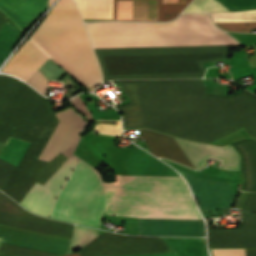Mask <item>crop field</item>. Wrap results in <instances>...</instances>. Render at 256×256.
<instances>
[{
    "label": "crop field",
    "mask_w": 256,
    "mask_h": 256,
    "mask_svg": "<svg viewBox=\"0 0 256 256\" xmlns=\"http://www.w3.org/2000/svg\"><path fill=\"white\" fill-rule=\"evenodd\" d=\"M94 48L239 44L208 14H182L166 23H86ZM104 81L202 78V63L227 57L226 45L94 49Z\"/></svg>",
    "instance_id": "8a807250"
},
{
    "label": "crop field",
    "mask_w": 256,
    "mask_h": 256,
    "mask_svg": "<svg viewBox=\"0 0 256 256\" xmlns=\"http://www.w3.org/2000/svg\"><path fill=\"white\" fill-rule=\"evenodd\" d=\"M129 104L117 107L124 129L148 128L211 143L241 129L256 140V96L205 94L203 80L118 81Z\"/></svg>",
    "instance_id": "ac0d7876"
},
{
    "label": "crop field",
    "mask_w": 256,
    "mask_h": 256,
    "mask_svg": "<svg viewBox=\"0 0 256 256\" xmlns=\"http://www.w3.org/2000/svg\"><path fill=\"white\" fill-rule=\"evenodd\" d=\"M14 57L38 67L50 57L85 88L102 82L98 63L76 6H54ZM14 57L2 72L26 81L38 67Z\"/></svg>",
    "instance_id": "34b2d1b8"
},
{
    "label": "crop field",
    "mask_w": 256,
    "mask_h": 256,
    "mask_svg": "<svg viewBox=\"0 0 256 256\" xmlns=\"http://www.w3.org/2000/svg\"><path fill=\"white\" fill-rule=\"evenodd\" d=\"M106 196L193 199L182 178L120 176L105 185ZM104 214L131 217L201 218L194 200L107 197Z\"/></svg>",
    "instance_id": "412701ff"
},
{
    "label": "crop field",
    "mask_w": 256,
    "mask_h": 256,
    "mask_svg": "<svg viewBox=\"0 0 256 256\" xmlns=\"http://www.w3.org/2000/svg\"><path fill=\"white\" fill-rule=\"evenodd\" d=\"M0 225L70 240L74 225L40 218L25 211L0 193ZM0 226L1 243L66 254L70 241ZM0 245V254L15 256H58L21 247Z\"/></svg>",
    "instance_id": "f4fd0767"
},
{
    "label": "crop field",
    "mask_w": 256,
    "mask_h": 256,
    "mask_svg": "<svg viewBox=\"0 0 256 256\" xmlns=\"http://www.w3.org/2000/svg\"><path fill=\"white\" fill-rule=\"evenodd\" d=\"M106 206L101 175L79 159L49 217L98 228Z\"/></svg>",
    "instance_id": "dd49c442"
},
{
    "label": "crop field",
    "mask_w": 256,
    "mask_h": 256,
    "mask_svg": "<svg viewBox=\"0 0 256 256\" xmlns=\"http://www.w3.org/2000/svg\"><path fill=\"white\" fill-rule=\"evenodd\" d=\"M57 122L50 101L23 82L0 118V125L15 128L11 137L38 144L37 159Z\"/></svg>",
    "instance_id": "e52e79f7"
},
{
    "label": "crop field",
    "mask_w": 256,
    "mask_h": 256,
    "mask_svg": "<svg viewBox=\"0 0 256 256\" xmlns=\"http://www.w3.org/2000/svg\"><path fill=\"white\" fill-rule=\"evenodd\" d=\"M29 145V142L9 137L0 158L17 167ZM35 147L31 143L18 165L21 171L14 167L1 189L19 203L36 181L43 185L67 159L61 153L49 162L32 159L30 157Z\"/></svg>",
    "instance_id": "d8731c3e"
},
{
    "label": "crop field",
    "mask_w": 256,
    "mask_h": 256,
    "mask_svg": "<svg viewBox=\"0 0 256 256\" xmlns=\"http://www.w3.org/2000/svg\"><path fill=\"white\" fill-rule=\"evenodd\" d=\"M149 152L159 157L178 162L197 170L204 167L203 163L208 159L220 161L217 168L225 170H239V157L235 150L230 146L215 147L206 144H197L167 137L152 131L140 130Z\"/></svg>",
    "instance_id": "5a996713"
},
{
    "label": "crop field",
    "mask_w": 256,
    "mask_h": 256,
    "mask_svg": "<svg viewBox=\"0 0 256 256\" xmlns=\"http://www.w3.org/2000/svg\"><path fill=\"white\" fill-rule=\"evenodd\" d=\"M82 13L83 18L113 19V0H110V13H84L85 3L74 0ZM191 0H185V4L162 3L157 0V20L163 21L175 18L187 6ZM86 2L85 12H109V0H81ZM138 2V14H118V18L156 19V0H133ZM163 2L184 3V0H163ZM117 19V0H114V20Z\"/></svg>",
    "instance_id": "3316defc"
},
{
    "label": "crop field",
    "mask_w": 256,
    "mask_h": 256,
    "mask_svg": "<svg viewBox=\"0 0 256 256\" xmlns=\"http://www.w3.org/2000/svg\"><path fill=\"white\" fill-rule=\"evenodd\" d=\"M82 256L170 252L160 237H131L106 232L80 250Z\"/></svg>",
    "instance_id": "28ad6ade"
},
{
    "label": "crop field",
    "mask_w": 256,
    "mask_h": 256,
    "mask_svg": "<svg viewBox=\"0 0 256 256\" xmlns=\"http://www.w3.org/2000/svg\"><path fill=\"white\" fill-rule=\"evenodd\" d=\"M209 248L256 247V193H250L236 229L208 230Z\"/></svg>",
    "instance_id": "d1516ede"
},
{
    "label": "crop field",
    "mask_w": 256,
    "mask_h": 256,
    "mask_svg": "<svg viewBox=\"0 0 256 256\" xmlns=\"http://www.w3.org/2000/svg\"><path fill=\"white\" fill-rule=\"evenodd\" d=\"M56 116L59 122L39 159L49 161L60 152L69 157L81 139L77 132L85 128L86 122L71 107Z\"/></svg>",
    "instance_id": "22f410ed"
},
{
    "label": "crop field",
    "mask_w": 256,
    "mask_h": 256,
    "mask_svg": "<svg viewBox=\"0 0 256 256\" xmlns=\"http://www.w3.org/2000/svg\"><path fill=\"white\" fill-rule=\"evenodd\" d=\"M78 159L72 154L43 186L36 182L20 204L38 215L48 217L57 193Z\"/></svg>",
    "instance_id": "cbeb9de0"
},
{
    "label": "crop field",
    "mask_w": 256,
    "mask_h": 256,
    "mask_svg": "<svg viewBox=\"0 0 256 256\" xmlns=\"http://www.w3.org/2000/svg\"><path fill=\"white\" fill-rule=\"evenodd\" d=\"M200 210L230 208L234 196L226 182L203 180L185 173Z\"/></svg>",
    "instance_id": "5142ce71"
},
{
    "label": "crop field",
    "mask_w": 256,
    "mask_h": 256,
    "mask_svg": "<svg viewBox=\"0 0 256 256\" xmlns=\"http://www.w3.org/2000/svg\"><path fill=\"white\" fill-rule=\"evenodd\" d=\"M139 235L204 236L202 220L138 218Z\"/></svg>",
    "instance_id": "d9b57169"
},
{
    "label": "crop field",
    "mask_w": 256,
    "mask_h": 256,
    "mask_svg": "<svg viewBox=\"0 0 256 256\" xmlns=\"http://www.w3.org/2000/svg\"><path fill=\"white\" fill-rule=\"evenodd\" d=\"M48 0H0V12L23 32L47 8ZM0 14V27L5 22Z\"/></svg>",
    "instance_id": "733c2abd"
},
{
    "label": "crop field",
    "mask_w": 256,
    "mask_h": 256,
    "mask_svg": "<svg viewBox=\"0 0 256 256\" xmlns=\"http://www.w3.org/2000/svg\"><path fill=\"white\" fill-rule=\"evenodd\" d=\"M123 162L129 175L180 177L174 170L138 147Z\"/></svg>",
    "instance_id": "4a817a6b"
},
{
    "label": "crop field",
    "mask_w": 256,
    "mask_h": 256,
    "mask_svg": "<svg viewBox=\"0 0 256 256\" xmlns=\"http://www.w3.org/2000/svg\"><path fill=\"white\" fill-rule=\"evenodd\" d=\"M240 154L244 184L241 190L256 192V142L243 140L232 144Z\"/></svg>",
    "instance_id": "bc2a9ffb"
},
{
    "label": "crop field",
    "mask_w": 256,
    "mask_h": 256,
    "mask_svg": "<svg viewBox=\"0 0 256 256\" xmlns=\"http://www.w3.org/2000/svg\"><path fill=\"white\" fill-rule=\"evenodd\" d=\"M173 253L133 256H207L204 240L163 238Z\"/></svg>",
    "instance_id": "214f88e0"
},
{
    "label": "crop field",
    "mask_w": 256,
    "mask_h": 256,
    "mask_svg": "<svg viewBox=\"0 0 256 256\" xmlns=\"http://www.w3.org/2000/svg\"><path fill=\"white\" fill-rule=\"evenodd\" d=\"M19 84L14 78L0 75V117ZM12 131V128L0 126V142L5 143Z\"/></svg>",
    "instance_id": "92a150f3"
},
{
    "label": "crop field",
    "mask_w": 256,
    "mask_h": 256,
    "mask_svg": "<svg viewBox=\"0 0 256 256\" xmlns=\"http://www.w3.org/2000/svg\"><path fill=\"white\" fill-rule=\"evenodd\" d=\"M22 34L7 20L0 29V63Z\"/></svg>",
    "instance_id": "dafd665d"
},
{
    "label": "crop field",
    "mask_w": 256,
    "mask_h": 256,
    "mask_svg": "<svg viewBox=\"0 0 256 256\" xmlns=\"http://www.w3.org/2000/svg\"><path fill=\"white\" fill-rule=\"evenodd\" d=\"M169 162L171 164H173L174 166H176L177 168H179L180 170L185 171L189 174L201 177V178L238 183L237 172L220 170L218 176H213V175L206 174L203 172L194 171L192 169H189L187 167H184L182 165H179V164L171 162V161H169Z\"/></svg>",
    "instance_id": "00972430"
},
{
    "label": "crop field",
    "mask_w": 256,
    "mask_h": 256,
    "mask_svg": "<svg viewBox=\"0 0 256 256\" xmlns=\"http://www.w3.org/2000/svg\"><path fill=\"white\" fill-rule=\"evenodd\" d=\"M99 235L100 234L93 229L75 226V233L71 243L70 252L83 248Z\"/></svg>",
    "instance_id": "a9b5d70f"
},
{
    "label": "crop field",
    "mask_w": 256,
    "mask_h": 256,
    "mask_svg": "<svg viewBox=\"0 0 256 256\" xmlns=\"http://www.w3.org/2000/svg\"><path fill=\"white\" fill-rule=\"evenodd\" d=\"M95 123L103 125H96L93 133L121 136L120 120H95Z\"/></svg>",
    "instance_id": "4177f3b9"
},
{
    "label": "crop field",
    "mask_w": 256,
    "mask_h": 256,
    "mask_svg": "<svg viewBox=\"0 0 256 256\" xmlns=\"http://www.w3.org/2000/svg\"><path fill=\"white\" fill-rule=\"evenodd\" d=\"M195 0H193L188 7L183 11V12H206V13H212V12H220V11H228L227 9H225L223 6H221L220 4H217L215 2V0H200L202 2H204L202 4V2L197 3L196 5L201 6L198 7L194 4H192Z\"/></svg>",
    "instance_id": "730fd06b"
},
{
    "label": "crop field",
    "mask_w": 256,
    "mask_h": 256,
    "mask_svg": "<svg viewBox=\"0 0 256 256\" xmlns=\"http://www.w3.org/2000/svg\"><path fill=\"white\" fill-rule=\"evenodd\" d=\"M252 14V21H256V10L230 13L211 14L214 22H217V15ZM251 21V15H235L230 17H218V22Z\"/></svg>",
    "instance_id": "eef30255"
},
{
    "label": "crop field",
    "mask_w": 256,
    "mask_h": 256,
    "mask_svg": "<svg viewBox=\"0 0 256 256\" xmlns=\"http://www.w3.org/2000/svg\"><path fill=\"white\" fill-rule=\"evenodd\" d=\"M230 11L256 8V0H218Z\"/></svg>",
    "instance_id": "ae1a2a85"
},
{
    "label": "crop field",
    "mask_w": 256,
    "mask_h": 256,
    "mask_svg": "<svg viewBox=\"0 0 256 256\" xmlns=\"http://www.w3.org/2000/svg\"><path fill=\"white\" fill-rule=\"evenodd\" d=\"M50 78L38 69L26 82L37 88L42 94L48 86L44 85Z\"/></svg>",
    "instance_id": "d3111659"
},
{
    "label": "crop field",
    "mask_w": 256,
    "mask_h": 256,
    "mask_svg": "<svg viewBox=\"0 0 256 256\" xmlns=\"http://www.w3.org/2000/svg\"><path fill=\"white\" fill-rule=\"evenodd\" d=\"M213 256H256V249H211Z\"/></svg>",
    "instance_id": "750c4746"
},
{
    "label": "crop field",
    "mask_w": 256,
    "mask_h": 256,
    "mask_svg": "<svg viewBox=\"0 0 256 256\" xmlns=\"http://www.w3.org/2000/svg\"><path fill=\"white\" fill-rule=\"evenodd\" d=\"M218 27L227 31L250 32V28H256V22H237V23H215Z\"/></svg>",
    "instance_id": "bd1437ed"
},
{
    "label": "crop field",
    "mask_w": 256,
    "mask_h": 256,
    "mask_svg": "<svg viewBox=\"0 0 256 256\" xmlns=\"http://www.w3.org/2000/svg\"><path fill=\"white\" fill-rule=\"evenodd\" d=\"M70 101L80 112H82L87 117L88 121L92 120L89 111L86 109L83 102L81 101V99L78 96L71 99Z\"/></svg>",
    "instance_id": "1d83c4d3"
},
{
    "label": "crop field",
    "mask_w": 256,
    "mask_h": 256,
    "mask_svg": "<svg viewBox=\"0 0 256 256\" xmlns=\"http://www.w3.org/2000/svg\"><path fill=\"white\" fill-rule=\"evenodd\" d=\"M56 5H74L71 0H59Z\"/></svg>",
    "instance_id": "120bbe31"
},
{
    "label": "crop field",
    "mask_w": 256,
    "mask_h": 256,
    "mask_svg": "<svg viewBox=\"0 0 256 256\" xmlns=\"http://www.w3.org/2000/svg\"><path fill=\"white\" fill-rule=\"evenodd\" d=\"M64 256H81L80 253H74V254H68V255H64Z\"/></svg>",
    "instance_id": "d32e631a"
},
{
    "label": "crop field",
    "mask_w": 256,
    "mask_h": 256,
    "mask_svg": "<svg viewBox=\"0 0 256 256\" xmlns=\"http://www.w3.org/2000/svg\"><path fill=\"white\" fill-rule=\"evenodd\" d=\"M54 0H49V4H48V6L53 2Z\"/></svg>",
    "instance_id": "5866460e"
},
{
    "label": "crop field",
    "mask_w": 256,
    "mask_h": 256,
    "mask_svg": "<svg viewBox=\"0 0 256 256\" xmlns=\"http://www.w3.org/2000/svg\"><path fill=\"white\" fill-rule=\"evenodd\" d=\"M0 256H3V255H0Z\"/></svg>",
    "instance_id": "028f5c9d"
},
{
    "label": "crop field",
    "mask_w": 256,
    "mask_h": 256,
    "mask_svg": "<svg viewBox=\"0 0 256 256\" xmlns=\"http://www.w3.org/2000/svg\"><path fill=\"white\" fill-rule=\"evenodd\" d=\"M1 239V238H0Z\"/></svg>",
    "instance_id": "e1f06a70"
}]
</instances>
